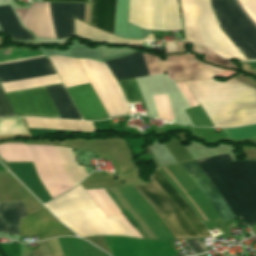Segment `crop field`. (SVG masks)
I'll list each match as a JSON object with an SVG mask.
<instances>
[{
	"mask_svg": "<svg viewBox=\"0 0 256 256\" xmlns=\"http://www.w3.org/2000/svg\"><path fill=\"white\" fill-rule=\"evenodd\" d=\"M65 88L89 83L78 59L49 56Z\"/></svg>",
	"mask_w": 256,
	"mask_h": 256,
	"instance_id": "crop-field-15",
	"label": "crop field"
},
{
	"mask_svg": "<svg viewBox=\"0 0 256 256\" xmlns=\"http://www.w3.org/2000/svg\"><path fill=\"white\" fill-rule=\"evenodd\" d=\"M55 1H79V2H92V0H55Z\"/></svg>",
	"mask_w": 256,
	"mask_h": 256,
	"instance_id": "crop-field-28",
	"label": "crop field"
},
{
	"mask_svg": "<svg viewBox=\"0 0 256 256\" xmlns=\"http://www.w3.org/2000/svg\"><path fill=\"white\" fill-rule=\"evenodd\" d=\"M236 217L256 224V160L232 161L228 154L196 160Z\"/></svg>",
	"mask_w": 256,
	"mask_h": 256,
	"instance_id": "crop-field-3",
	"label": "crop field"
},
{
	"mask_svg": "<svg viewBox=\"0 0 256 256\" xmlns=\"http://www.w3.org/2000/svg\"><path fill=\"white\" fill-rule=\"evenodd\" d=\"M116 0H93L92 25L113 33Z\"/></svg>",
	"mask_w": 256,
	"mask_h": 256,
	"instance_id": "crop-field-16",
	"label": "crop field"
},
{
	"mask_svg": "<svg viewBox=\"0 0 256 256\" xmlns=\"http://www.w3.org/2000/svg\"><path fill=\"white\" fill-rule=\"evenodd\" d=\"M76 35L93 40L141 45L143 41L114 37L75 19Z\"/></svg>",
	"mask_w": 256,
	"mask_h": 256,
	"instance_id": "crop-field-19",
	"label": "crop field"
},
{
	"mask_svg": "<svg viewBox=\"0 0 256 256\" xmlns=\"http://www.w3.org/2000/svg\"><path fill=\"white\" fill-rule=\"evenodd\" d=\"M28 133L21 118L0 119V135Z\"/></svg>",
	"mask_w": 256,
	"mask_h": 256,
	"instance_id": "crop-field-20",
	"label": "crop field"
},
{
	"mask_svg": "<svg viewBox=\"0 0 256 256\" xmlns=\"http://www.w3.org/2000/svg\"><path fill=\"white\" fill-rule=\"evenodd\" d=\"M106 63L116 80L149 75L140 51Z\"/></svg>",
	"mask_w": 256,
	"mask_h": 256,
	"instance_id": "crop-field-14",
	"label": "crop field"
},
{
	"mask_svg": "<svg viewBox=\"0 0 256 256\" xmlns=\"http://www.w3.org/2000/svg\"><path fill=\"white\" fill-rule=\"evenodd\" d=\"M226 137L239 139L252 137L256 139V125L235 128V129H221Z\"/></svg>",
	"mask_w": 256,
	"mask_h": 256,
	"instance_id": "crop-field-22",
	"label": "crop field"
},
{
	"mask_svg": "<svg viewBox=\"0 0 256 256\" xmlns=\"http://www.w3.org/2000/svg\"><path fill=\"white\" fill-rule=\"evenodd\" d=\"M196 51L202 52L208 55V58L224 65L230 57H227L209 47L195 45Z\"/></svg>",
	"mask_w": 256,
	"mask_h": 256,
	"instance_id": "crop-field-23",
	"label": "crop field"
},
{
	"mask_svg": "<svg viewBox=\"0 0 256 256\" xmlns=\"http://www.w3.org/2000/svg\"><path fill=\"white\" fill-rule=\"evenodd\" d=\"M118 84L121 86L125 94L126 100L128 102L142 100V97L135 79L120 81L118 82Z\"/></svg>",
	"mask_w": 256,
	"mask_h": 256,
	"instance_id": "crop-field-21",
	"label": "crop field"
},
{
	"mask_svg": "<svg viewBox=\"0 0 256 256\" xmlns=\"http://www.w3.org/2000/svg\"><path fill=\"white\" fill-rule=\"evenodd\" d=\"M50 9L57 39L73 35L72 17L83 21L84 4L50 3Z\"/></svg>",
	"mask_w": 256,
	"mask_h": 256,
	"instance_id": "crop-field-12",
	"label": "crop field"
},
{
	"mask_svg": "<svg viewBox=\"0 0 256 256\" xmlns=\"http://www.w3.org/2000/svg\"><path fill=\"white\" fill-rule=\"evenodd\" d=\"M250 18L256 23V0H238Z\"/></svg>",
	"mask_w": 256,
	"mask_h": 256,
	"instance_id": "crop-field-25",
	"label": "crop field"
},
{
	"mask_svg": "<svg viewBox=\"0 0 256 256\" xmlns=\"http://www.w3.org/2000/svg\"><path fill=\"white\" fill-rule=\"evenodd\" d=\"M0 27L3 34L13 39H33L18 23L10 5L0 6Z\"/></svg>",
	"mask_w": 256,
	"mask_h": 256,
	"instance_id": "crop-field-18",
	"label": "crop field"
},
{
	"mask_svg": "<svg viewBox=\"0 0 256 256\" xmlns=\"http://www.w3.org/2000/svg\"><path fill=\"white\" fill-rule=\"evenodd\" d=\"M211 3L221 30L248 60H256V27L241 12L235 0H211ZM181 12L185 40L246 60L220 30L210 0H181Z\"/></svg>",
	"mask_w": 256,
	"mask_h": 256,
	"instance_id": "crop-field-1",
	"label": "crop field"
},
{
	"mask_svg": "<svg viewBox=\"0 0 256 256\" xmlns=\"http://www.w3.org/2000/svg\"><path fill=\"white\" fill-rule=\"evenodd\" d=\"M128 22L150 30L181 29L178 2L177 0H130Z\"/></svg>",
	"mask_w": 256,
	"mask_h": 256,
	"instance_id": "crop-field-7",
	"label": "crop field"
},
{
	"mask_svg": "<svg viewBox=\"0 0 256 256\" xmlns=\"http://www.w3.org/2000/svg\"><path fill=\"white\" fill-rule=\"evenodd\" d=\"M58 235H74L46 209L20 220L19 236H38L39 239Z\"/></svg>",
	"mask_w": 256,
	"mask_h": 256,
	"instance_id": "crop-field-9",
	"label": "crop field"
},
{
	"mask_svg": "<svg viewBox=\"0 0 256 256\" xmlns=\"http://www.w3.org/2000/svg\"><path fill=\"white\" fill-rule=\"evenodd\" d=\"M74 104L84 119L107 118L103 108L99 104L90 84L68 88Z\"/></svg>",
	"mask_w": 256,
	"mask_h": 256,
	"instance_id": "crop-field-13",
	"label": "crop field"
},
{
	"mask_svg": "<svg viewBox=\"0 0 256 256\" xmlns=\"http://www.w3.org/2000/svg\"><path fill=\"white\" fill-rule=\"evenodd\" d=\"M186 84L215 127L256 123V90L233 78L226 83L209 79Z\"/></svg>",
	"mask_w": 256,
	"mask_h": 256,
	"instance_id": "crop-field-2",
	"label": "crop field"
},
{
	"mask_svg": "<svg viewBox=\"0 0 256 256\" xmlns=\"http://www.w3.org/2000/svg\"><path fill=\"white\" fill-rule=\"evenodd\" d=\"M133 187L156 210L175 239L211 236L191 208L157 170L149 183Z\"/></svg>",
	"mask_w": 256,
	"mask_h": 256,
	"instance_id": "crop-field-5",
	"label": "crop field"
},
{
	"mask_svg": "<svg viewBox=\"0 0 256 256\" xmlns=\"http://www.w3.org/2000/svg\"><path fill=\"white\" fill-rule=\"evenodd\" d=\"M54 73L52 65L44 57L0 64V83Z\"/></svg>",
	"mask_w": 256,
	"mask_h": 256,
	"instance_id": "crop-field-10",
	"label": "crop field"
},
{
	"mask_svg": "<svg viewBox=\"0 0 256 256\" xmlns=\"http://www.w3.org/2000/svg\"><path fill=\"white\" fill-rule=\"evenodd\" d=\"M60 118L81 119L63 85L45 87ZM44 87L5 94L16 116L59 117Z\"/></svg>",
	"mask_w": 256,
	"mask_h": 256,
	"instance_id": "crop-field-6",
	"label": "crop field"
},
{
	"mask_svg": "<svg viewBox=\"0 0 256 256\" xmlns=\"http://www.w3.org/2000/svg\"><path fill=\"white\" fill-rule=\"evenodd\" d=\"M46 207L81 237L133 236L116 215L106 218L80 184L47 203Z\"/></svg>",
	"mask_w": 256,
	"mask_h": 256,
	"instance_id": "crop-field-4",
	"label": "crop field"
},
{
	"mask_svg": "<svg viewBox=\"0 0 256 256\" xmlns=\"http://www.w3.org/2000/svg\"><path fill=\"white\" fill-rule=\"evenodd\" d=\"M25 216L21 202L0 203V232L18 235L19 219Z\"/></svg>",
	"mask_w": 256,
	"mask_h": 256,
	"instance_id": "crop-field-17",
	"label": "crop field"
},
{
	"mask_svg": "<svg viewBox=\"0 0 256 256\" xmlns=\"http://www.w3.org/2000/svg\"><path fill=\"white\" fill-rule=\"evenodd\" d=\"M166 52L176 51L175 44L165 43Z\"/></svg>",
	"mask_w": 256,
	"mask_h": 256,
	"instance_id": "crop-field-27",
	"label": "crop field"
},
{
	"mask_svg": "<svg viewBox=\"0 0 256 256\" xmlns=\"http://www.w3.org/2000/svg\"><path fill=\"white\" fill-rule=\"evenodd\" d=\"M181 165L191 177V179L206 195L207 199L223 221L235 218V215L226 205L224 200L218 194L216 189L213 187V185L210 183V181L207 179L195 161L182 163Z\"/></svg>",
	"mask_w": 256,
	"mask_h": 256,
	"instance_id": "crop-field-11",
	"label": "crop field"
},
{
	"mask_svg": "<svg viewBox=\"0 0 256 256\" xmlns=\"http://www.w3.org/2000/svg\"><path fill=\"white\" fill-rule=\"evenodd\" d=\"M7 116H15V114L0 87V117Z\"/></svg>",
	"mask_w": 256,
	"mask_h": 256,
	"instance_id": "crop-field-24",
	"label": "crop field"
},
{
	"mask_svg": "<svg viewBox=\"0 0 256 256\" xmlns=\"http://www.w3.org/2000/svg\"><path fill=\"white\" fill-rule=\"evenodd\" d=\"M143 56L150 75L167 73L169 79L176 81L209 79L223 71L196 60L162 62L152 55Z\"/></svg>",
	"mask_w": 256,
	"mask_h": 256,
	"instance_id": "crop-field-8",
	"label": "crop field"
},
{
	"mask_svg": "<svg viewBox=\"0 0 256 256\" xmlns=\"http://www.w3.org/2000/svg\"><path fill=\"white\" fill-rule=\"evenodd\" d=\"M186 242L187 243H194V242H200V240H199V238L187 239ZM189 246L192 248V250L195 252V254L206 251V248L203 246L202 243L189 244Z\"/></svg>",
	"mask_w": 256,
	"mask_h": 256,
	"instance_id": "crop-field-26",
	"label": "crop field"
}]
</instances>
